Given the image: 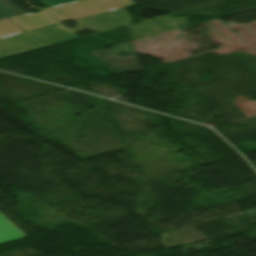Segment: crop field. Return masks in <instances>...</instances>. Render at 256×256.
<instances>
[{
    "instance_id": "crop-field-11",
    "label": "crop field",
    "mask_w": 256,
    "mask_h": 256,
    "mask_svg": "<svg viewBox=\"0 0 256 256\" xmlns=\"http://www.w3.org/2000/svg\"><path fill=\"white\" fill-rule=\"evenodd\" d=\"M46 8L74 0H37Z\"/></svg>"
},
{
    "instance_id": "crop-field-3",
    "label": "crop field",
    "mask_w": 256,
    "mask_h": 256,
    "mask_svg": "<svg viewBox=\"0 0 256 256\" xmlns=\"http://www.w3.org/2000/svg\"><path fill=\"white\" fill-rule=\"evenodd\" d=\"M93 53L117 73L140 69L136 55L117 57L114 49Z\"/></svg>"
},
{
    "instance_id": "crop-field-9",
    "label": "crop field",
    "mask_w": 256,
    "mask_h": 256,
    "mask_svg": "<svg viewBox=\"0 0 256 256\" xmlns=\"http://www.w3.org/2000/svg\"><path fill=\"white\" fill-rule=\"evenodd\" d=\"M130 21H131V18L129 16L128 12L125 9H123L121 22L111 24V25H107V26L94 28V29L89 28V29H84V30H89L93 33H98V32L107 31V30H110V29H113V28H117V27H120V26L128 25V24H130ZM80 31H82V30H80ZM80 31H78V32H80ZM78 32H75V33H78Z\"/></svg>"
},
{
    "instance_id": "crop-field-10",
    "label": "crop field",
    "mask_w": 256,
    "mask_h": 256,
    "mask_svg": "<svg viewBox=\"0 0 256 256\" xmlns=\"http://www.w3.org/2000/svg\"><path fill=\"white\" fill-rule=\"evenodd\" d=\"M0 12L7 17L24 13L7 0H0Z\"/></svg>"
},
{
    "instance_id": "crop-field-5",
    "label": "crop field",
    "mask_w": 256,
    "mask_h": 256,
    "mask_svg": "<svg viewBox=\"0 0 256 256\" xmlns=\"http://www.w3.org/2000/svg\"><path fill=\"white\" fill-rule=\"evenodd\" d=\"M121 11V9H118L76 20L75 22L78 23V26L73 31L119 22L121 20Z\"/></svg>"
},
{
    "instance_id": "crop-field-1",
    "label": "crop field",
    "mask_w": 256,
    "mask_h": 256,
    "mask_svg": "<svg viewBox=\"0 0 256 256\" xmlns=\"http://www.w3.org/2000/svg\"><path fill=\"white\" fill-rule=\"evenodd\" d=\"M132 0H79L45 9L60 21L76 20L89 15L134 4Z\"/></svg>"
},
{
    "instance_id": "crop-field-4",
    "label": "crop field",
    "mask_w": 256,
    "mask_h": 256,
    "mask_svg": "<svg viewBox=\"0 0 256 256\" xmlns=\"http://www.w3.org/2000/svg\"><path fill=\"white\" fill-rule=\"evenodd\" d=\"M9 19H11L13 22H15L26 31L58 24L53 18H51L48 14L44 12L35 14H22L10 17Z\"/></svg>"
},
{
    "instance_id": "crop-field-6",
    "label": "crop field",
    "mask_w": 256,
    "mask_h": 256,
    "mask_svg": "<svg viewBox=\"0 0 256 256\" xmlns=\"http://www.w3.org/2000/svg\"><path fill=\"white\" fill-rule=\"evenodd\" d=\"M22 237L26 236L0 212V243Z\"/></svg>"
},
{
    "instance_id": "crop-field-8",
    "label": "crop field",
    "mask_w": 256,
    "mask_h": 256,
    "mask_svg": "<svg viewBox=\"0 0 256 256\" xmlns=\"http://www.w3.org/2000/svg\"><path fill=\"white\" fill-rule=\"evenodd\" d=\"M22 29H20L18 26H16L14 23H12L7 18L0 20V38H4L7 36L23 33Z\"/></svg>"
},
{
    "instance_id": "crop-field-12",
    "label": "crop field",
    "mask_w": 256,
    "mask_h": 256,
    "mask_svg": "<svg viewBox=\"0 0 256 256\" xmlns=\"http://www.w3.org/2000/svg\"><path fill=\"white\" fill-rule=\"evenodd\" d=\"M116 48L117 50L125 52L129 55L135 54L129 42L121 45H117Z\"/></svg>"
},
{
    "instance_id": "crop-field-7",
    "label": "crop field",
    "mask_w": 256,
    "mask_h": 256,
    "mask_svg": "<svg viewBox=\"0 0 256 256\" xmlns=\"http://www.w3.org/2000/svg\"><path fill=\"white\" fill-rule=\"evenodd\" d=\"M37 48L25 45L20 42H13L7 39H0V59L16 55L19 53L27 52Z\"/></svg>"
},
{
    "instance_id": "crop-field-2",
    "label": "crop field",
    "mask_w": 256,
    "mask_h": 256,
    "mask_svg": "<svg viewBox=\"0 0 256 256\" xmlns=\"http://www.w3.org/2000/svg\"><path fill=\"white\" fill-rule=\"evenodd\" d=\"M28 33L33 34L34 36L48 43L49 45L69 41L71 39L78 37L77 34H74L72 32V30L67 29L63 27L61 24H59V25L48 27V28L8 37L7 39L13 40V41H20L37 48L48 46L42 43L41 41H39L38 39L34 38L33 36L29 35Z\"/></svg>"
},
{
    "instance_id": "crop-field-13",
    "label": "crop field",
    "mask_w": 256,
    "mask_h": 256,
    "mask_svg": "<svg viewBox=\"0 0 256 256\" xmlns=\"http://www.w3.org/2000/svg\"><path fill=\"white\" fill-rule=\"evenodd\" d=\"M1 18H5V17H4L3 15H1V14H0V19H1Z\"/></svg>"
}]
</instances>
